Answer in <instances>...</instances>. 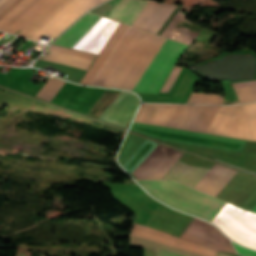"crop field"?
<instances>
[{"label":"crop field","instance_id":"8a807250","mask_svg":"<svg viewBox=\"0 0 256 256\" xmlns=\"http://www.w3.org/2000/svg\"><path fill=\"white\" fill-rule=\"evenodd\" d=\"M131 27L127 30L110 58L94 80L92 84L118 87L130 89L134 87L148 64L151 62L165 38L153 35V36L141 33L139 31L131 29V32L147 36L143 37L129 32Z\"/></svg>","mask_w":256,"mask_h":256},{"label":"crop field","instance_id":"ac0d7876","mask_svg":"<svg viewBox=\"0 0 256 256\" xmlns=\"http://www.w3.org/2000/svg\"><path fill=\"white\" fill-rule=\"evenodd\" d=\"M152 195L180 210L209 221L225 204L224 202L174 181H138Z\"/></svg>","mask_w":256,"mask_h":256},{"label":"crop field","instance_id":"34b2d1b8","mask_svg":"<svg viewBox=\"0 0 256 256\" xmlns=\"http://www.w3.org/2000/svg\"><path fill=\"white\" fill-rule=\"evenodd\" d=\"M103 17L88 13L76 22L54 43L72 48L80 41ZM118 25V22L104 18L73 48L99 54L104 44Z\"/></svg>","mask_w":256,"mask_h":256},{"label":"crop field","instance_id":"412701ff","mask_svg":"<svg viewBox=\"0 0 256 256\" xmlns=\"http://www.w3.org/2000/svg\"><path fill=\"white\" fill-rule=\"evenodd\" d=\"M208 133L256 140V103L221 106Z\"/></svg>","mask_w":256,"mask_h":256},{"label":"crop field","instance_id":"f4fd0767","mask_svg":"<svg viewBox=\"0 0 256 256\" xmlns=\"http://www.w3.org/2000/svg\"><path fill=\"white\" fill-rule=\"evenodd\" d=\"M174 41L166 39L150 65L147 67L133 90L135 92H141L157 67L160 65L172 45ZM187 45L180 44L175 42L161 65L158 67L146 87L144 88L143 92H150V93H158L161 86L163 85L165 79L167 78L169 72L171 71L173 65L177 62V60L181 57L184 51L187 49Z\"/></svg>","mask_w":256,"mask_h":256},{"label":"crop field","instance_id":"dd49c442","mask_svg":"<svg viewBox=\"0 0 256 256\" xmlns=\"http://www.w3.org/2000/svg\"><path fill=\"white\" fill-rule=\"evenodd\" d=\"M213 222L233 240L256 249V214L226 204Z\"/></svg>","mask_w":256,"mask_h":256},{"label":"crop field","instance_id":"e52e79f7","mask_svg":"<svg viewBox=\"0 0 256 256\" xmlns=\"http://www.w3.org/2000/svg\"><path fill=\"white\" fill-rule=\"evenodd\" d=\"M220 106L177 105L167 126L207 133Z\"/></svg>","mask_w":256,"mask_h":256},{"label":"crop field","instance_id":"d8731c3e","mask_svg":"<svg viewBox=\"0 0 256 256\" xmlns=\"http://www.w3.org/2000/svg\"><path fill=\"white\" fill-rule=\"evenodd\" d=\"M182 154L159 144L132 174L137 179H161Z\"/></svg>","mask_w":256,"mask_h":256},{"label":"crop field","instance_id":"5a996713","mask_svg":"<svg viewBox=\"0 0 256 256\" xmlns=\"http://www.w3.org/2000/svg\"><path fill=\"white\" fill-rule=\"evenodd\" d=\"M180 238L216 251L236 253L231 242L217 228L196 218L193 219Z\"/></svg>","mask_w":256,"mask_h":256},{"label":"crop field","instance_id":"3316defc","mask_svg":"<svg viewBox=\"0 0 256 256\" xmlns=\"http://www.w3.org/2000/svg\"><path fill=\"white\" fill-rule=\"evenodd\" d=\"M105 0H74L31 39L38 41L45 33L56 37L84 11Z\"/></svg>","mask_w":256,"mask_h":256},{"label":"crop field","instance_id":"28ad6ade","mask_svg":"<svg viewBox=\"0 0 256 256\" xmlns=\"http://www.w3.org/2000/svg\"><path fill=\"white\" fill-rule=\"evenodd\" d=\"M120 0H110L92 10L97 14L107 17ZM148 1L121 0L108 18L131 25Z\"/></svg>","mask_w":256,"mask_h":256},{"label":"crop field","instance_id":"d1516ede","mask_svg":"<svg viewBox=\"0 0 256 256\" xmlns=\"http://www.w3.org/2000/svg\"><path fill=\"white\" fill-rule=\"evenodd\" d=\"M122 93H123V91H121L118 94V96L112 101V103L107 107V109L101 114L99 119H102V120H105V121H108V122H111V123H114V124H117V125H120L123 127H127L125 125H127L130 122L133 114L135 113V111L137 109L139 101H138L137 97H133V96H135L134 94L129 93V94L133 95V96H131L127 93H123V94ZM120 95H121V97H120ZM115 101H116V103H115ZM110 107H111V109H110ZM105 113H106V115H105ZM103 116H104V118H107V119H110V120H113V121H116V122H119V123H122L125 125L104 119V118H102Z\"/></svg>","mask_w":256,"mask_h":256},{"label":"crop field","instance_id":"22f410ed","mask_svg":"<svg viewBox=\"0 0 256 256\" xmlns=\"http://www.w3.org/2000/svg\"><path fill=\"white\" fill-rule=\"evenodd\" d=\"M170 8L169 5L160 4L156 2L149 1L136 20L133 22L132 26L147 30L152 32L167 10ZM176 7L171 6L156 28L153 30V33L157 34L172 12Z\"/></svg>","mask_w":256,"mask_h":256},{"label":"crop field","instance_id":"cbeb9de0","mask_svg":"<svg viewBox=\"0 0 256 256\" xmlns=\"http://www.w3.org/2000/svg\"><path fill=\"white\" fill-rule=\"evenodd\" d=\"M182 10L183 7L180 8L161 36L191 45L203 28L186 20L187 14L181 13Z\"/></svg>","mask_w":256,"mask_h":256},{"label":"crop field","instance_id":"5142ce71","mask_svg":"<svg viewBox=\"0 0 256 256\" xmlns=\"http://www.w3.org/2000/svg\"><path fill=\"white\" fill-rule=\"evenodd\" d=\"M236 173L237 171L214 164L195 188L216 197Z\"/></svg>","mask_w":256,"mask_h":256},{"label":"crop field","instance_id":"d9b57169","mask_svg":"<svg viewBox=\"0 0 256 256\" xmlns=\"http://www.w3.org/2000/svg\"><path fill=\"white\" fill-rule=\"evenodd\" d=\"M132 232H136V233H139V234H142V235H146V236L153 237V238L163 240V241H166V242H170V243H173V244H176V245L187 247V248H190V249H193V250L204 252V253H207V254H210V255H214V256L216 255V251H213L211 249L205 248L203 246L197 245V244L189 242V241L179 239V238L174 237V236H172L170 234H167L165 232L155 230V229H152V228L140 225V224L135 223ZM136 233H132V234H136ZM139 234H136V235H139ZM142 235H139V236H142ZM146 236H142V237H146ZM149 237H146V238H149ZM153 238H149V239L156 240V239H153ZM159 240H156V241H159ZM163 241H159V242L166 243V242H163ZM170 243H166V244L173 245V244H170ZM176 245H173V246H176ZM180 246H176V247L183 248V247H180ZM187 248H183V249L193 251V250H190V249H187ZM197 251H193V252L203 254V255H206V256H210V255L200 253V252H197Z\"/></svg>","mask_w":256,"mask_h":256},{"label":"crop field","instance_id":"733c2abd","mask_svg":"<svg viewBox=\"0 0 256 256\" xmlns=\"http://www.w3.org/2000/svg\"><path fill=\"white\" fill-rule=\"evenodd\" d=\"M128 27L129 26L127 25L119 23V25L117 26V28L115 29V31L105 44L104 48L102 49V51L100 52V54L98 55V57L96 58V60L94 61L90 69L87 71V73L85 74L80 83L91 84V82L93 81V79L95 78V76L97 75V73L107 60V58L110 56V54L112 53V51L114 50V48L116 47L124 33L126 32Z\"/></svg>","mask_w":256,"mask_h":256},{"label":"crop field","instance_id":"4a817a6b","mask_svg":"<svg viewBox=\"0 0 256 256\" xmlns=\"http://www.w3.org/2000/svg\"><path fill=\"white\" fill-rule=\"evenodd\" d=\"M155 106L156 104H143L135 120L146 123ZM175 107L176 105L157 104L148 123L166 126Z\"/></svg>","mask_w":256,"mask_h":256},{"label":"crop field","instance_id":"bc2a9ffb","mask_svg":"<svg viewBox=\"0 0 256 256\" xmlns=\"http://www.w3.org/2000/svg\"><path fill=\"white\" fill-rule=\"evenodd\" d=\"M72 1L73 0H56L49 8L20 32L18 36L30 39Z\"/></svg>","mask_w":256,"mask_h":256},{"label":"crop field","instance_id":"214f88e0","mask_svg":"<svg viewBox=\"0 0 256 256\" xmlns=\"http://www.w3.org/2000/svg\"><path fill=\"white\" fill-rule=\"evenodd\" d=\"M208 169L188 166L179 161L164 179H175L194 187Z\"/></svg>","mask_w":256,"mask_h":256},{"label":"crop field","instance_id":"92a150f3","mask_svg":"<svg viewBox=\"0 0 256 256\" xmlns=\"http://www.w3.org/2000/svg\"><path fill=\"white\" fill-rule=\"evenodd\" d=\"M131 243L141 245V246H145V247L152 248V249H156V250L158 248H161V249L173 251V252H176V253H180V254H183V255H186V256H203V255H199V254H196V253H193V252H189V251H186V250H183V249L172 247V246H169V245H166V244H162V243L152 241V240L142 238V237L132 235V234H131ZM161 249L158 250L159 256H183V255H179V254L169 252V251H165V250H161Z\"/></svg>","mask_w":256,"mask_h":256},{"label":"crop field","instance_id":"dafd665d","mask_svg":"<svg viewBox=\"0 0 256 256\" xmlns=\"http://www.w3.org/2000/svg\"><path fill=\"white\" fill-rule=\"evenodd\" d=\"M49 51H51L49 55L46 58L42 57L41 58L42 60L59 63L67 66H72V67H76L84 70H87L89 65L92 63V60L72 56L69 54H65V53H61L53 50H49Z\"/></svg>","mask_w":256,"mask_h":256},{"label":"crop field","instance_id":"00972430","mask_svg":"<svg viewBox=\"0 0 256 256\" xmlns=\"http://www.w3.org/2000/svg\"><path fill=\"white\" fill-rule=\"evenodd\" d=\"M50 0H40L35 6H33L27 13H25L18 21H16L10 28L6 30V32L12 33L16 30L20 25H22L27 19H29L34 13H36L40 8H42L47 2ZM55 0H51L47 3L42 9H40L36 14H34L29 20H27L22 26H20L16 31L13 32L15 34L21 27L25 28L29 23H31L38 15H40L48 6H50ZM22 29V28H21ZM20 29V30H21ZM19 30V31H20ZM18 31V32H19ZM17 35V34H16Z\"/></svg>","mask_w":256,"mask_h":256},{"label":"crop field","instance_id":"a9b5d70f","mask_svg":"<svg viewBox=\"0 0 256 256\" xmlns=\"http://www.w3.org/2000/svg\"><path fill=\"white\" fill-rule=\"evenodd\" d=\"M256 82V81H255ZM253 81L232 84L240 102L256 100V83Z\"/></svg>","mask_w":256,"mask_h":256},{"label":"crop field","instance_id":"4177f3b9","mask_svg":"<svg viewBox=\"0 0 256 256\" xmlns=\"http://www.w3.org/2000/svg\"><path fill=\"white\" fill-rule=\"evenodd\" d=\"M64 83L65 82L56 78H50L49 81L44 85V87L39 91L37 96L51 101Z\"/></svg>","mask_w":256,"mask_h":256},{"label":"crop field","instance_id":"730fd06b","mask_svg":"<svg viewBox=\"0 0 256 256\" xmlns=\"http://www.w3.org/2000/svg\"><path fill=\"white\" fill-rule=\"evenodd\" d=\"M187 103L223 104V98L217 94L192 93Z\"/></svg>","mask_w":256,"mask_h":256},{"label":"crop field","instance_id":"eef30255","mask_svg":"<svg viewBox=\"0 0 256 256\" xmlns=\"http://www.w3.org/2000/svg\"><path fill=\"white\" fill-rule=\"evenodd\" d=\"M49 49L69 53L72 55H76V56H80V57H84V58H88V59H92V60H94V58L96 56L93 54H89V53H85V52H81V51H77V50H72V49H68V48H64V47H60V46H56V45H51L49 47Z\"/></svg>","mask_w":256,"mask_h":256},{"label":"crop field","instance_id":"ae1a2a85","mask_svg":"<svg viewBox=\"0 0 256 256\" xmlns=\"http://www.w3.org/2000/svg\"><path fill=\"white\" fill-rule=\"evenodd\" d=\"M39 0H32L28 5H26L20 12H18L12 19H10L0 30L5 31L10 27L17 19H19L27 10H29L36 2Z\"/></svg>","mask_w":256,"mask_h":256},{"label":"crop field","instance_id":"d3111659","mask_svg":"<svg viewBox=\"0 0 256 256\" xmlns=\"http://www.w3.org/2000/svg\"><path fill=\"white\" fill-rule=\"evenodd\" d=\"M31 0H23L13 10H11L5 17L0 20V27L4 25L10 18H12L18 11H20Z\"/></svg>","mask_w":256,"mask_h":256},{"label":"crop field","instance_id":"750c4746","mask_svg":"<svg viewBox=\"0 0 256 256\" xmlns=\"http://www.w3.org/2000/svg\"><path fill=\"white\" fill-rule=\"evenodd\" d=\"M180 70L181 68L174 67L173 71L171 72L170 76L168 77L167 81L162 87L161 91L168 92L169 88L171 87Z\"/></svg>","mask_w":256,"mask_h":256},{"label":"crop field","instance_id":"bd1437ed","mask_svg":"<svg viewBox=\"0 0 256 256\" xmlns=\"http://www.w3.org/2000/svg\"><path fill=\"white\" fill-rule=\"evenodd\" d=\"M235 248L237 249L238 253L245 255V256H256V251H252L249 249H246L244 247H241L235 243H233Z\"/></svg>","mask_w":256,"mask_h":256},{"label":"crop field","instance_id":"1d83c4d3","mask_svg":"<svg viewBox=\"0 0 256 256\" xmlns=\"http://www.w3.org/2000/svg\"><path fill=\"white\" fill-rule=\"evenodd\" d=\"M20 1L22 0H15L12 4H10L3 12L0 13V19L5 16L11 9H13Z\"/></svg>","mask_w":256,"mask_h":256},{"label":"crop field","instance_id":"120bbe31","mask_svg":"<svg viewBox=\"0 0 256 256\" xmlns=\"http://www.w3.org/2000/svg\"><path fill=\"white\" fill-rule=\"evenodd\" d=\"M13 0H7L0 6V12L7 7Z\"/></svg>","mask_w":256,"mask_h":256},{"label":"crop field","instance_id":"d32e631a","mask_svg":"<svg viewBox=\"0 0 256 256\" xmlns=\"http://www.w3.org/2000/svg\"><path fill=\"white\" fill-rule=\"evenodd\" d=\"M217 256H229V255H226V254H223V253L219 252Z\"/></svg>","mask_w":256,"mask_h":256},{"label":"crop field","instance_id":"5866460e","mask_svg":"<svg viewBox=\"0 0 256 256\" xmlns=\"http://www.w3.org/2000/svg\"><path fill=\"white\" fill-rule=\"evenodd\" d=\"M253 212H256V206H255V208L252 210Z\"/></svg>","mask_w":256,"mask_h":256},{"label":"crop field","instance_id":"028f5c9d","mask_svg":"<svg viewBox=\"0 0 256 256\" xmlns=\"http://www.w3.org/2000/svg\"><path fill=\"white\" fill-rule=\"evenodd\" d=\"M5 0H0V4L2 3V2H4Z\"/></svg>","mask_w":256,"mask_h":256}]
</instances>
